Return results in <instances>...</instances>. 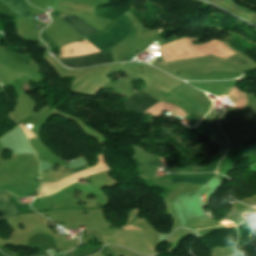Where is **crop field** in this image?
Segmentation results:
<instances>
[{
	"label": "crop field",
	"mask_w": 256,
	"mask_h": 256,
	"mask_svg": "<svg viewBox=\"0 0 256 256\" xmlns=\"http://www.w3.org/2000/svg\"><path fill=\"white\" fill-rule=\"evenodd\" d=\"M1 253V252H0ZM0 256H3L2 254H0Z\"/></svg>",
	"instance_id": "11"
},
{
	"label": "crop field",
	"mask_w": 256,
	"mask_h": 256,
	"mask_svg": "<svg viewBox=\"0 0 256 256\" xmlns=\"http://www.w3.org/2000/svg\"><path fill=\"white\" fill-rule=\"evenodd\" d=\"M172 183H192V184H199L202 185L207 179L202 178H180V177H173L171 178Z\"/></svg>",
	"instance_id": "6"
},
{
	"label": "crop field",
	"mask_w": 256,
	"mask_h": 256,
	"mask_svg": "<svg viewBox=\"0 0 256 256\" xmlns=\"http://www.w3.org/2000/svg\"><path fill=\"white\" fill-rule=\"evenodd\" d=\"M160 158H161V157H160ZM161 161H162V164H163V165H166L165 162H164V160H163V158H161Z\"/></svg>",
	"instance_id": "10"
},
{
	"label": "crop field",
	"mask_w": 256,
	"mask_h": 256,
	"mask_svg": "<svg viewBox=\"0 0 256 256\" xmlns=\"http://www.w3.org/2000/svg\"><path fill=\"white\" fill-rule=\"evenodd\" d=\"M123 230H141V229L133 225H128L123 227Z\"/></svg>",
	"instance_id": "8"
},
{
	"label": "crop field",
	"mask_w": 256,
	"mask_h": 256,
	"mask_svg": "<svg viewBox=\"0 0 256 256\" xmlns=\"http://www.w3.org/2000/svg\"><path fill=\"white\" fill-rule=\"evenodd\" d=\"M111 62L99 51L62 59V64L71 68L89 67Z\"/></svg>",
	"instance_id": "1"
},
{
	"label": "crop field",
	"mask_w": 256,
	"mask_h": 256,
	"mask_svg": "<svg viewBox=\"0 0 256 256\" xmlns=\"http://www.w3.org/2000/svg\"><path fill=\"white\" fill-rule=\"evenodd\" d=\"M225 155V154H224ZM220 156L218 159H216L210 166H209V169H208V172H215L216 169H217V165L220 161V159L224 156Z\"/></svg>",
	"instance_id": "7"
},
{
	"label": "crop field",
	"mask_w": 256,
	"mask_h": 256,
	"mask_svg": "<svg viewBox=\"0 0 256 256\" xmlns=\"http://www.w3.org/2000/svg\"><path fill=\"white\" fill-rule=\"evenodd\" d=\"M18 16L32 19L34 18L22 0H2Z\"/></svg>",
	"instance_id": "5"
},
{
	"label": "crop field",
	"mask_w": 256,
	"mask_h": 256,
	"mask_svg": "<svg viewBox=\"0 0 256 256\" xmlns=\"http://www.w3.org/2000/svg\"><path fill=\"white\" fill-rule=\"evenodd\" d=\"M159 102L155 101L154 99L150 98L146 94L140 92L130 98L123 104L126 106L127 110H133L136 112L141 113L146 109L150 108L151 106L157 104Z\"/></svg>",
	"instance_id": "2"
},
{
	"label": "crop field",
	"mask_w": 256,
	"mask_h": 256,
	"mask_svg": "<svg viewBox=\"0 0 256 256\" xmlns=\"http://www.w3.org/2000/svg\"><path fill=\"white\" fill-rule=\"evenodd\" d=\"M253 205H256V203H254Z\"/></svg>",
	"instance_id": "12"
},
{
	"label": "crop field",
	"mask_w": 256,
	"mask_h": 256,
	"mask_svg": "<svg viewBox=\"0 0 256 256\" xmlns=\"http://www.w3.org/2000/svg\"><path fill=\"white\" fill-rule=\"evenodd\" d=\"M62 19H64L73 29H75L83 37H86L94 32H98L91 25L83 22L81 19L74 15L64 16L62 17Z\"/></svg>",
	"instance_id": "4"
},
{
	"label": "crop field",
	"mask_w": 256,
	"mask_h": 256,
	"mask_svg": "<svg viewBox=\"0 0 256 256\" xmlns=\"http://www.w3.org/2000/svg\"><path fill=\"white\" fill-rule=\"evenodd\" d=\"M98 159H99V162H102V163H104V160H103V157H102V155L98 156Z\"/></svg>",
	"instance_id": "9"
},
{
	"label": "crop field",
	"mask_w": 256,
	"mask_h": 256,
	"mask_svg": "<svg viewBox=\"0 0 256 256\" xmlns=\"http://www.w3.org/2000/svg\"><path fill=\"white\" fill-rule=\"evenodd\" d=\"M12 195L7 192L0 193V221L22 212L11 202Z\"/></svg>",
	"instance_id": "3"
}]
</instances>
